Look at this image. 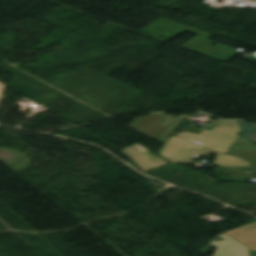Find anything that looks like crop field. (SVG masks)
<instances>
[{
	"instance_id": "1",
	"label": "crop field",
	"mask_w": 256,
	"mask_h": 256,
	"mask_svg": "<svg viewBox=\"0 0 256 256\" xmlns=\"http://www.w3.org/2000/svg\"><path fill=\"white\" fill-rule=\"evenodd\" d=\"M209 152L217 154L214 164L225 166H251L247 161L222 154L212 149L197 145L190 141L177 138L173 135L162 146L159 155L170 160L173 163L177 162H193L195 156H206Z\"/></svg>"
},
{
	"instance_id": "2",
	"label": "crop field",
	"mask_w": 256,
	"mask_h": 256,
	"mask_svg": "<svg viewBox=\"0 0 256 256\" xmlns=\"http://www.w3.org/2000/svg\"><path fill=\"white\" fill-rule=\"evenodd\" d=\"M240 128L236 121H222L211 131L187 128L177 137L190 140L200 145L227 153L236 139Z\"/></svg>"
},
{
	"instance_id": "3",
	"label": "crop field",
	"mask_w": 256,
	"mask_h": 256,
	"mask_svg": "<svg viewBox=\"0 0 256 256\" xmlns=\"http://www.w3.org/2000/svg\"><path fill=\"white\" fill-rule=\"evenodd\" d=\"M121 151L129 157L142 172H147L168 163L139 143L121 149Z\"/></svg>"
},
{
	"instance_id": "4",
	"label": "crop field",
	"mask_w": 256,
	"mask_h": 256,
	"mask_svg": "<svg viewBox=\"0 0 256 256\" xmlns=\"http://www.w3.org/2000/svg\"><path fill=\"white\" fill-rule=\"evenodd\" d=\"M165 116V115H164ZM162 113L135 118L128 126L141 134L155 140L172 117H164Z\"/></svg>"
},
{
	"instance_id": "5",
	"label": "crop field",
	"mask_w": 256,
	"mask_h": 256,
	"mask_svg": "<svg viewBox=\"0 0 256 256\" xmlns=\"http://www.w3.org/2000/svg\"><path fill=\"white\" fill-rule=\"evenodd\" d=\"M218 237L225 239V241L213 240L210 243L218 248L213 256H249L248 248L246 246L224 234H221Z\"/></svg>"
},
{
	"instance_id": "6",
	"label": "crop field",
	"mask_w": 256,
	"mask_h": 256,
	"mask_svg": "<svg viewBox=\"0 0 256 256\" xmlns=\"http://www.w3.org/2000/svg\"><path fill=\"white\" fill-rule=\"evenodd\" d=\"M224 234L248 246L249 250L256 251V223L248 224V225L224 232Z\"/></svg>"
},
{
	"instance_id": "7",
	"label": "crop field",
	"mask_w": 256,
	"mask_h": 256,
	"mask_svg": "<svg viewBox=\"0 0 256 256\" xmlns=\"http://www.w3.org/2000/svg\"><path fill=\"white\" fill-rule=\"evenodd\" d=\"M228 153L241 157L256 166V144L251 141L239 137Z\"/></svg>"
},
{
	"instance_id": "8",
	"label": "crop field",
	"mask_w": 256,
	"mask_h": 256,
	"mask_svg": "<svg viewBox=\"0 0 256 256\" xmlns=\"http://www.w3.org/2000/svg\"><path fill=\"white\" fill-rule=\"evenodd\" d=\"M238 122L244 133L241 136L256 143V126L254 124L245 123L244 121Z\"/></svg>"
},
{
	"instance_id": "9",
	"label": "crop field",
	"mask_w": 256,
	"mask_h": 256,
	"mask_svg": "<svg viewBox=\"0 0 256 256\" xmlns=\"http://www.w3.org/2000/svg\"><path fill=\"white\" fill-rule=\"evenodd\" d=\"M4 86H5V84L0 82V97H1V94L3 92Z\"/></svg>"
},
{
	"instance_id": "10",
	"label": "crop field",
	"mask_w": 256,
	"mask_h": 256,
	"mask_svg": "<svg viewBox=\"0 0 256 256\" xmlns=\"http://www.w3.org/2000/svg\"><path fill=\"white\" fill-rule=\"evenodd\" d=\"M249 253H250V256H256V252L254 251H249Z\"/></svg>"
}]
</instances>
